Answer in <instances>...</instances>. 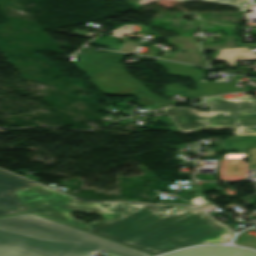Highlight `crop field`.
Instances as JSON below:
<instances>
[{
	"label": "crop field",
	"mask_w": 256,
	"mask_h": 256,
	"mask_svg": "<svg viewBox=\"0 0 256 256\" xmlns=\"http://www.w3.org/2000/svg\"><path fill=\"white\" fill-rule=\"evenodd\" d=\"M38 186L0 171V216L27 211L13 190Z\"/></svg>",
	"instance_id": "obj_6"
},
{
	"label": "crop field",
	"mask_w": 256,
	"mask_h": 256,
	"mask_svg": "<svg viewBox=\"0 0 256 256\" xmlns=\"http://www.w3.org/2000/svg\"><path fill=\"white\" fill-rule=\"evenodd\" d=\"M70 203L84 205V206H90V207H96V208H100L104 204V203H86V202H82V201H76L74 199Z\"/></svg>",
	"instance_id": "obj_10"
},
{
	"label": "crop field",
	"mask_w": 256,
	"mask_h": 256,
	"mask_svg": "<svg viewBox=\"0 0 256 256\" xmlns=\"http://www.w3.org/2000/svg\"><path fill=\"white\" fill-rule=\"evenodd\" d=\"M248 50L245 47L221 49L216 59L224 60L228 62L229 65H237L236 64L237 60L256 59V56Z\"/></svg>",
	"instance_id": "obj_8"
},
{
	"label": "crop field",
	"mask_w": 256,
	"mask_h": 256,
	"mask_svg": "<svg viewBox=\"0 0 256 256\" xmlns=\"http://www.w3.org/2000/svg\"><path fill=\"white\" fill-rule=\"evenodd\" d=\"M156 64L163 66L169 74L187 76L192 78L197 85L196 90H184L180 84L168 85L165 86V90L167 92L183 91L185 95L190 98H198L216 93L240 91L236 86L237 81L242 77L239 75H234L230 82H200V80L204 76L201 70H196L188 65L162 60L156 61Z\"/></svg>",
	"instance_id": "obj_5"
},
{
	"label": "crop field",
	"mask_w": 256,
	"mask_h": 256,
	"mask_svg": "<svg viewBox=\"0 0 256 256\" xmlns=\"http://www.w3.org/2000/svg\"><path fill=\"white\" fill-rule=\"evenodd\" d=\"M91 81L95 86L103 93L109 95H126L132 94L138 98L137 103L145 106L161 101H156L152 98L159 100L167 101L158 97L157 95L150 92L145 86L135 80L129 75V73L122 67L121 63L109 68L108 70L98 74L97 76L91 78ZM140 88L145 94H143L139 89Z\"/></svg>",
	"instance_id": "obj_4"
},
{
	"label": "crop field",
	"mask_w": 256,
	"mask_h": 256,
	"mask_svg": "<svg viewBox=\"0 0 256 256\" xmlns=\"http://www.w3.org/2000/svg\"><path fill=\"white\" fill-rule=\"evenodd\" d=\"M28 210L74 225L153 255L197 245L225 243L233 233L201 211L186 207L163 215L153 205L106 202L100 209L68 204L73 198L42 186L16 190ZM48 211L50 214H47ZM105 216L89 224L73 219L68 212Z\"/></svg>",
	"instance_id": "obj_1"
},
{
	"label": "crop field",
	"mask_w": 256,
	"mask_h": 256,
	"mask_svg": "<svg viewBox=\"0 0 256 256\" xmlns=\"http://www.w3.org/2000/svg\"><path fill=\"white\" fill-rule=\"evenodd\" d=\"M162 256H256V252L226 246H205Z\"/></svg>",
	"instance_id": "obj_7"
},
{
	"label": "crop field",
	"mask_w": 256,
	"mask_h": 256,
	"mask_svg": "<svg viewBox=\"0 0 256 256\" xmlns=\"http://www.w3.org/2000/svg\"><path fill=\"white\" fill-rule=\"evenodd\" d=\"M240 245L256 248V238L246 241V242H243Z\"/></svg>",
	"instance_id": "obj_11"
},
{
	"label": "crop field",
	"mask_w": 256,
	"mask_h": 256,
	"mask_svg": "<svg viewBox=\"0 0 256 256\" xmlns=\"http://www.w3.org/2000/svg\"><path fill=\"white\" fill-rule=\"evenodd\" d=\"M152 1H155V0H142V1L137 2V3L140 4V5H143V4H147L149 2H152ZM177 1H184V0H177ZM209 1H215V2H219V3L227 4V5H230V6L237 7L239 9H241L242 11H244V9H245L249 0H209Z\"/></svg>",
	"instance_id": "obj_9"
},
{
	"label": "crop field",
	"mask_w": 256,
	"mask_h": 256,
	"mask_svg": "<svg viewBox=\"0 0 256 256\" xmlns=\"http://www.w3.org/2000/svg\"><path fill=\"white\" fill-rule=\"evenodd\" d=\"M106 256L148 254L27 213L0 219V256Z\"/></svg>",
	"instance_id": "obj_2"
},
{
	"label": "crop field",
	"mask_w": 256,
	"mask_h": 256,
	"mask_svg": "<svg viewBox=\"0 0 256 256\" xmlns=\"http://www.w3.org/2000/svg\"><path fill=\"white\" fill-rule=\"evenodd\" d=\"M247 48H256V46H253V47H247Z\"/></svg>",
	"instance_id": "obj_12"
},
{
	"label": "crop field",
	"mask_w": 256,
	"mask_h": 256,
	"mask_svg": "<svg viewBox=\"0 0 256 256\" xmlns=\"http://www.w3.org/2000/svg\"><path fill=\"white\" fill-rule=\"evenodd\" d=\"M206 100L210 111L183 107H168L163 111L183 133L204 128H231L235 135H256V101L252 97ZM198 123H202L201 126Z\"/></svg>",
	"instance_id": "obj_3"
}]
</instances>
